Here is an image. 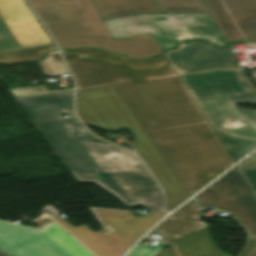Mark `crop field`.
Masks as SVG:
<instances>
[{
  "instance_id": "8a807250",
  "label": "crop field",
  "mask_w": 256,
  "mask_h": 256,
  "mask_svg": "<svg viewBox=\"0 0 256 256\" xmlns=\"http://www.w3.org/2000/svg\"><path fill=\"white\" fill-rule=\"evenodd\" d=\"M77 90L113 83L190 196L233 164L165 55L62 51Z\"/></svg>"
},
{
  "instance_id": "ac0d7876",
  "label": "crop field",
  "mask_w": 256,
  "mask_h": 256,
  "mask_svg": "<svg viewBox=\"0 0 256 256\" xmlns=\"http://www.w3.org/2000/svg\"><path fill=\"white\" fill-rule=\"evenodd\" d=\"M78 182H94L127 206L164 210L163 195L131 152L99 143L78 144L62 122L78 121L73 92L16 98ZM69 114L60 119L57 115Z\"/></svg>"
},
{
  "instance_id": "34b2d1b8",
  "label": "crop field",
  "mask_w": 256,
  "mask_h": 256,
  "mask_svg": "<svg viewBox=\"0 0 256 256\" xmlns=\"http://www.w3.org/2000/svg\"><path fill=\"white\" fill-rule=\"evenodd\" d=\"M180 78L234 163L256 147V130L252 125L256 110L234 105L256 104V92L244 70H215ZM226 119L240 120L245 127H224Z\"/></svg>"
},
{
  "instance_id": "412701ff",
  "label": "crop field",
  "mask_w": 256,
  "mask_h": 256,
  "mask_svg": "<svg viewBox=\"0 0 256 256\" xmlns=\"http://www.w3.org/2000/svg\"><path fill=\"white\" fill-rule=\"evenodd\" d=\"M61 49L92 47L146 58L162 53L151 34L113 40L90 0H28Z\"/></svg>"
},
{
  "instance_id": "f4fd0767",
  "label": "crop field",
  "mask_w": 256,
  "mask_h": 256,
  "mask_svg": "<svg viewBox=\"0 0 256 256\" xmlns=\"http://www.w3.org/2000/svg\"><path fill=\"white\" fill-rule=\"evenodd\" d=\"M76 99L82 121L107 131L129 129L134 149L165 190L169 209L190 197L113 84L78 91Z\"/></svg>"
},
{
  "instance_id": "dd49c442",
  "label": "crop field",
  "mask_w": 256,
  "mask_h": 256,
  "mask_svg": "<svg viewBox=\"0 0 256 256\" xmlns=\"http://www.w3.org/2000/svg\"><path fill=\"white\" fill-rule=\"evenodd\" d=\"M0 250L12 256H94L54 222L34 229L0 221Z\"/></svg>"
},
{
  "instance_id": "e52e79f7",
  "label": "crop field",
  "mask_w": 256,
  "mask_h": 256,
  "mask_svg": "<svg viewBox=\"0 0 256 256\" xmlns=\"http://www.w3.org/2000/svg\"><path fill=\"white\" fill-rule=\"evenodd\" d=\"M199 206L214 203L217 211L227 210L251 234L241 256H256V197L235 168L194 197Z\"/></svg>"
},
{
  "instance_id": "d8731c3e",
  "label": "crop field",
  "mask_w": 256,
  "mask_h": 256,
  "mask_svg": "<svg viewBox=\"0 0 256 256\" xmlns=\"http://www.w3.org/2000/svg\"><path fill=\"white\" fill-rule=\"evenodd\" d=\"M51 43L24 0H0V53Z\"/></svg>"
},
{
  "instance_id": "5a996713",
  "label": "crop field",
  "mask_w": 256,
  "mask_h": 256,
  "mask_svg": "<svg viewBox=\"0 0 256 256\" xmlns=\"http://www.w3.org/2000/svg\"><path fill=\"white\" fill-rule=\"evenodd\" d=\"M113 39L152 33L164 52L188 39L171 14H138L103 20Z\"/></svg>"
},
{
  "instance_id": "3316defc",
  "label": "crop field",
  "mask_w": 256,
  "mask_h": 256,
  "mask_svg": "<svg viewBox=\"0 0 256 256\" xmlns=\"http://www.w3.org/2000/svg\"><path fill=\"white\" fill-rule=\"evenodd\" d=\"M201 1L227 42H256V0Z\"/></svg>"
},
{
  "instance_id": "28ad6ade",
  "label": "crop field",
  "mask_w": 256,
  "mask_h": 256,
  "mask_svg": "<svg viewBox=\"0 0 256 256\" xmlns=\"http://www.w3.org/2000/svg\"><path fill=\"white\" fill-rule=\"evenodd\" d=\"M230 50L228 46L221 49L206 41H196L184 43L178 50L167 51L165 55L177 74L218 68L240 69Z\"/></svg>"
},
{
  "instance_id": "d1516ede",
  "label": "crop field",
  "mask_w": 256,
  "mask_h": 256,
  "mask_svg": "<svg viewBox=\"0 0 256 256\" xmlns=\"http://www.w3.org/2000/svg\"><path fill=\"white\" fill-rule=\"evenodd\" d=\"M58 216L56 215L52 218L97 256H121L128 250L116 233L104 234L92 232L85 225L72 228Z\"/></svg>"
},
{
  "instance_id": "22f410ed",
  "label": "crop field",
  "mask_w": 256,
  "mask_h": 256,
  "mask_svg": "<svg viewBox=\"0 0 256 256\" xmlns=\"http://www.w3.org/2000/svg\"><path fill=\"white\" fill-rule=\"evenodd\" d=\"M201 218L198 208L191 200L156 226L151 233L177 239L210 225L199 221Z\"/></svg>"
},
{
  "instance_id": "cbeb9de0",
  "label": "crop field",
  "mask_w": 256,
  "mask_h": 256,
  "mask_svg": "<svg viewBox=\"0 0 256 256\" xmlns=\"http://www.w3.org/2000/svg\"><path fill=\"white\" fill-rule=\"evenodd\" d=\"M101 19L138 13H160L153 0H91Z\"/></svg>"
},
{
  "instance_id": "5142ce71",
  "label": "crop field",
  "mask_w": 256,
  "mask_h": 256,
  "mask_svg": "<svg viewBox=\"0 0 256 256\" xmlns=\"http://www.w3.org/2000/svg\"><path fill=\"white\" fill-rule=\"evenodd\" d=\"M179 17L190 38L207 39L218 46L226 44L209 14H175Z\"/></svg>"
},
{
  "instance_id": "d9b57169",
  "label": "crop field",
  "mask_w": 256,
  "mask_h": 256,
  "mask_svg": "<svg viewBox=\"0 0 256 256\" xmlns=\"http://www.w3.org/2000/svg\"><path fill=\"white\" fill-rule=\"evenodd\" d=\"M209 228L210 226L170 243L176 245L181 256H231L216 248L208 235Z\"/></svg>"
},
{
  "instance_id": "733c2abd",
  "label": "crop field",
  "mask_w": 256,
  "mask_h": 256,
  "mask_svg": "<svg viewBox=\"0 0 256 256\" xmlns=\"http://www.w3.org/2000/svg\"><path fill=\"white\" fill-rule=\"evenodd\" d=\"M165 215V211L139 217L116 224H112V228L119 235L128 249L156 222Z\"/></svg>"
},
{
  "instance_id": "4a817a6b",
  "label": "crop field",
  "mask_w": 256,
  "mask_h": 256,
  "mask_svg": "<svg viewBox=\"0 0 256 256\" xmlns=\"http://www.w3.org/2000/svg\"><path fill=\"white\" fill-rule=\"evenodd\" d=\"M161 13H208L200 0H154Z\"/></svg>"
},
{
  "instance_id": "bc2a9ffb",
  "label": "crop field",
  "mask_w": 256,
  "mask_h": 256,
  "mask_svg": "<svg viewBox=\"0 0 256 256\" xmlns=\"http://www.w3.org/2000/svg\"><path fill=\"white\" fill-rule=\"evenodd\" d=\"M55 49L54 45H45L35 48H29L19 51H13L8 53L0 54V62L11 64L23 61H34L44 58L46 55L43 54L44 51Z\"/></svg>"
},
{
  "instance_id": "214f88e0",
  "label": "crop field",
  "mask_w": 256,
  "mask_h": 256,
  "mask_svg": "<svg viewBox=\"0 0 256 256\" xmlns=\"http://www.w3.org/2000/svg\"><path fill=\"white\" fill-rule=\"evenodd\" d=\"M46 54H48V56L44 60L39 61L45 75H60L67 73L58 51Z\"/></svg>"
},
{
  "instance_id": "92a150f3",
  "label": "crop field",
  "mask_w": 256,
  "mask_h": 256,
  "mask_svg": "<svg viewBox=\"0 0 256 256\" xmlns=\"http://www.w3.org/2000/svg\"><path fill=\"white\" fill-rule=\"evenodd\" d=\"M104 225L112 224L128 219H132L133 216L130 212L125 211H113V210H99L93 209Z\"/></svg>"
},
{
  "instance_id": "dafd665d",
  "label": "crop field",
  "mask_w": 256,
  "mask_h": 256,
  "mask_svg": "<svg viewBox=\"0 0 256 256\" xmlns=\"http://www.w3.org/2000/svg\"><path fill=\"white\" fill-rule=\"evenodd\" d=\"M64 124L68 128V130L71 132V134L74 136V138L77 140L78 143L87 142V141L105 143L97 139L96 137L92 136L88 131H86L83 128V126L80 124V122H71V123H64Z\"/></svg>"
},
{
  "instance_id": "00972430",
  "label": "crop field",
  "mask_w": 256,
  "mask_h": 256,
  "mask_svg": "<svg viewBox=\"0 0 256 256\" xmlns=\"http://www.w3.org/2000/svg\"><path fill=\"white\" fill-rule=\"evenodd\" d=\"M237 165L256 192V159L246 158Z\"/></svg>"
},
{
  "instance_id": "a9b5d70f",
  "label": "crop field",
  "mask_w": 256,
  "mask_h": 256,
  "mask_svg": "<svg viewBox=\"0 0 256 256\" xmlns=\"http://www.w3.org/2000/svg\"><path fill=\"white\" fill-rule=\"evenodd\" d=\"M69 91H73V89L48 91L44 86L10 90L13 97L69 92Z\"/></svg>"
},
{
  "instance_id": "4177f3b9",
  "label": "crop field",
  "mask_w": 256,
  "mask_h": 256,
  "mask_svg": "<svg viewBox=\"0 0 256 256\" xmlns=\"http://www.w3.org/2000/svg\"><path fill=\"white\" fill-rule=\"evenodd\" d=\"M250 156H256V152H254L252 155H250Z\"/></svg>"
},
{
  "instance_id": "730fd06b",
  "label": "crop field",
  "mask_w": 256,
  "mask_h": 256,
  "mask_svg": "<svg viewBox=\"0 0 256 256\" xmlns=\"http://www.w3.org/2000/svg\"><path fill=\"white\" fill-rule=\"evenodd\" d=\"M0 256H6V255H4V254L0 253Z\"/></svg>"
}]
</instances>
